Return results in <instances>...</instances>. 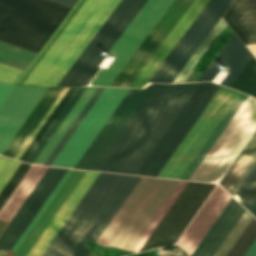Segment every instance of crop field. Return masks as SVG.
<instances>
[{"mask_svg": "<svg viewBox=\"0 0 256 256\" xmlns=\"http://www.w3.org/2000/svg\"><path fill=\"white\" fill-rule=\"evenodd\" d=\"M173 0H122L58 85H87L108 52L117 57L91 84L110 85ZM193 0H174L110 86L128 87Z\"/></svg>", "mask_w": 256, "mask_h": 256, "instance_id": "obj_1", "label": "crop field"}, {"mask_svg": "<svg viewBox=\"0 0 256 256\" xmlns=\"http://www.w3.org/2000/svg\"><path fill=\"white\" fill-rule=\"evenodd\" d=\"M199 85L156 84L96 170L136 174Z\"/></svg>", "mask_w": 256, "mask_h": 256, "instance_id": "obj_2", "label": "crop field"}, {"mask_svg": "<svg viewBox=\"0 0 256 256\" xmlns=\"http://www.w3.org/2000/svg\"><path fill=\"white\" fill-rule=\"evenodd\" d=\"M140 179L100 173L42 256H86Z\"/></svg>", "mask_w": 256, "mask_h": 256, "instance_id": "obj_3", "label": "crop field"}, {"mask_svg": "<svg viewBox=\"0 0 256 256\" xmlns=\"http://www.w3.org/2000/svg\"><path fill=\"white\" fill-rule=\"evenodd\" d=\"M179 183L142 177L97 243L132 251Z\"/></svg>", "mask_w": 256, "mask_h": 256, "instance_id": "obj_4", "label": "crop field"}, {"mask_svg": "<svg viewBox=\"0 0 256 256\" xmlns=\"http://www.w3.org/2000/svg\"><path fill=\"white\" fill-rule=\"evenodd\" d=\"M70 9L49 0H0V41L38 53Z\"/></svg>", "mask_w": 256, "mask_h": 256, "instance_id": "obj_5", "label": "crop field"}, {"mask_svg": "<svg viewBox=\"0 0 256 256\" xmlns=\"http://www.w3.org/2000/svg\"><path fill=\"white\" fill-rule=\"evenodd\" d=\"M256 128V99L248 96L190 180L214 181L223 175Z\"/></svg>", "mask_w": 256, "mask_h": 256, "instance_id": "obj_6", "label": "crop field"}, {"mask_svg": "<svg viewBox=\"0 0 256 256\" xmlns=\"http://www.w3.org/2000/svg\"><path fill=\"white\" fill-rule=\"evenodd\" d=\"M238 95L221 86L158 176L179 179Z\"/></svg>", "mask_w": 256, "mask_h": 256, "instance_id": "obj_7", "label": "crop field"}, {"mask_svg": "<svg viewBox=\"0 0 256 256\" xmlns=\"http://www.w3.org/2000/svg\"><path fill=\"white\" fill-rule=\"evenodd\" d=\"M102 0H79L16 84L39 85Z\"/></svg>", "mask_w": 256, "mask_h": 256, "instance_id": "obj_8", "label": "crop field"}, {"mask_svg": "<svg viewBox=\"0 0 256 256\" xmlns=\"http://www.w3.org/2000/svg\"><path fill=\"white\" fill-rule=\"evenodd\" d=\"M234 0H210L149 82L172 83Z\"/></svg>", "mask_w": 256, "mask_h": 256, "instance_id": "obj_9", "label": "crop field"}, {"mask_svg": "<svg viewBox=\"0 0 256 256\" xmlns=\"http://www.w3.org/2000/svg\"><path fill=\"white\" fill-rule=\"evenodd\" d=\"M219 88L201 83L137 174L157 176Z\"/></svg>", "mask_w": 256, "mask_h": 256, "instance_id": "obj_10", "label": "crop field"}, {"mask_svg": "<svg viewBox=\"0 0 256 256\" xmlns=\"http://www.w3.org/2000/svg\"><path fill=\"white\" fill-rule=\"evenodd\" d=\"M128 91L105 88L52 165L74 167Z\"/></svg>", "mask_w": 256, "mask_h": 256, "instance_id": "obj_11", "label": "crop field"}, {"mask_svg": "<svg viewBox=\"0 0 256 256\" xmlns=\"http://www.w3.org/2000/svg\"><path fill=\"white\" fill-rule=\"evenodd\" d=\"M213 187L188 182L139 252L173 244Z\"/></svg>", "mask_w": 256, "mask_h": 256, "instance_id": "obj_12", "label": "crop field"}, {"mask_svg": "<svg viewBox=\"0 0 256 256\" xmlns=\"http://www.w3.org/2000/svg\"><path fill=\"white\" fill-rule=\"evenodd\" d=\"M154 86L130 89L75 168L95 170Z\"/></svg>", "mask_w": 256, "mask_h": 256, "instance_id": "obj_13", "label": "crop field"}, {"mask_svg": "<svg viewBox=\"0 0 256 256\" xmlns=\"http://www.w3.org/2000/svg\"><path fill=\"white\" fill-rule=\"evenodd\" d=\"M48 87L16 86L0 108V154Z\"/></svg>", "mask_w": 256, "mask_h": 256, "instance_id": "obj_14", "label": "crop field"}, {"mask_svg": "<svg viewBox=\"0 0 256 256\" xmlns=\"http://www.w3.org/2000/svg\"><path fill=\"white\" fill-rule=\"evenodd\" d=\"M66 169L48 167L0 236V249L10 250Z\"/></svg>", "mask_w": 256, "mask_h": 256, "instance_id": "obj_15", "label": "crop field"}, {"mask_svg": "<svg viewBox=\"0 0 256 256\" xmlns=\"http://www.w3.org/2000/svg\"><path fill=\"white\" fill-rule=\"evenodd\" d=\"M121 0H103L40 85H57Z\"/></svg>", "mask_w": 256, "mask_h": 256, "instance_id": "obj_16", "label": "crop field"}, {"mask_svg": "<svg viewBox=\"0 0 256 256\" xmlns=\"http://www.w3.org/2000/svg\"><path fill=\"white\" fill-rule=\"evenodd\" d=\"M208 1L209 0H194V2L181 17L172 31L168 34L159 48L155 51L129 87H143L149 81Z\"/></svg>", "mask_w": 256, "mask_h": 256, "instance_id": "obj_17", "label": "crop field"}, {"mask_svg": "<svg viewBox=\"0 0 256 256\" xmlns=\"http://www.w3.org/2000/svg\"><path fill=\"white\" fill-rule=\"evenodd\" d=\"M251 55L233 32L197 81H211L222 66H227L230 70L221 85L229 87L250 60Z\"/></svg>", "mask_w": 256, "mask_h": 256, "instance_id": "obj_18", "label": "crop field"}, {"mask_svg": "<svg viewBox=\"0 0 256 256\" xmlns=\"http://www.w3.org/2000/svg\"><path fill=\"white\" fill-rule=\"evenodd\" d=\"M230 198L220 186H217L177 243L188 256L192 253Z\"/></svg>", "mask_w": 256, "mask_h": 256, "instance_id": "obj_19", "label": "crop field"}, {"mask_svg": "<svg viewBox=\"0 0 256 256\" xmlns=\"http://www.w3.org/2000/svg\"><path fill=\"white\" fill-rule=\"evenodd\" d=\"M237 203L231 198L190 256H213L216 253L245 211Z\"/></svg>", "mask_w": 256, "mask_h": 256, "instance_id": "obj_20", "label": "crop field"}, {"mask_svg": "<svg viewBox=\"0 0 256 256\" xmlns=\"http://www.w3.org/2000/svg\"><path fill=\"white\" fill-rule=\"evenodd\" d=\"M224 19L244 44L256 43V0H235Z\"/></svg>", "mask_w": 256, "mask_h": 256, "instance_id": "obj_21", "label": "crop field"}, {"mask_svg": "<svg viewBox=\"0 0 256 256\" xmlns=\"http://www.w3.org/2000/svg\"><path fill=\"white\" fill-rule=\"evenodd\" d=\"M62 89L63 87H49L6 150L3 152V156L11 158L15 157Z\"/></svg>", "mask_w": 256, "mask_h": 256, "instance_id": "obj_22", "label": "crop field"}, {"mask_svg": "<svg viewBox=\"0 0 256 256\" xmlns=\"http://www.w3.org/2000/svg\"><path fill=\"white\" fill-rule=\"evenodd\" d=\"M96 89L97 87H86V89L83 91L79 99L76 101L72 109L69 111L65 119L62 121L34 163L44 164V162L47 160L51 152L54 150L56 145L59 143L63 135L66 133L70 125L73 123L75 118L78 116Z\"/></svg>", "mask_w": 256, "mask_h": 256, "instance_id": "obj_23", "label": "crop field"}, {"mask_svg": "<svg viewBox=\"0 0 256 256\" xmlns=\"http://www.w3.org/2000/svg\"><path fill=\"white\" fill-rule=\"evenodd\" d=\"M46 169L47 167L32 166L21 184L18 186L14 194L0 212L1 220L10 222Z\"/></svg>", "mask_w": 256, "mask_h": 256, "instance_id": "obj_24", "label": "crop field"}, {"mask_svg": "<svg viewBox=\"0 0 256 256\" xmlns=\"http://www.w3.org/2000/svg\"><path fill=\"white\" fill-rule=\"evenodd\" d=\"M93 174H94V172L86 171V173L83 175V177L81 178L79 183L76 185V187L74 188L72 193L69 195V197L67 198L65 203L62 205V207L60 208L58 213L55 215L53 220L50 222V224L48 225L46 230L43 232V234L41 235V237L36 242V244L34 245V247L32 248V250L29 252V254L27 256H36L38 251L41 249L43 244L46 242V240L48 239L50 234L53 232L55 227L58 225V223L60 222L62 217L65 215L67 210L70 208L72 203L75 201V199L77 198V196L82 191V189L87 184V182L89 181V179L91 178V176Z\"/></svg>", "mask_w": 256, "mask_h": 256, "instance_id": "obj_25", "label": "crop field"}, {"mask_svg": "<svg viewBox=\"0 0 256 256\" xmlns=\"http://www.w3.org/2000/svg\"><path fill=\"white\" fill-rule=\"evenodd\" d=\"M255 154H256V135L251 140L249 145L243 151L241 156L238 158L236 163L233 165V167L230 169V171L227 173V175L224 177V179L221 181L220 184L230 192V190L232 189L234 184L237 182V180L239 179V177L241 176L245 168L248 166V164L250 163V161L252 160Z\"/></svg>", "mask_w": 256, "mask_h": 256, "instance_id": "obj_26", "label": "crop field"}, {"mask_svg": "<svg viewBox=\"0 0 256 256\" xmlns=\"http://www.w3.org/2000/svg\"><path fill=\"white\" fill-rule=\"evenodd\" d=\"M35 55L36 53L0 42L1 63L25 70Z\"/></svg>", "mask_w": 256, "mask_h": 256, "instance_id": "obj_27", "label": "crop field"}, {"mask_svg": "<svg viewBox=\"0 0 256 256\" xmlns=\"http://www.w3.org/2000/svg\"><path fill=\"white\" fill-rule=\"evenodd\" d=\"M84 89H85V87H76V89L74 90L72 95L69 97V99L67 100L65 105L62 107V109L60 110V112L58 113L56 118L53 120V122L51 123L49 128L46 130V132L44 133V135L42 136L40 141L37 143V145L31 152V154L26 159L27 162H31V163L33 162V160L36 158L38 153L41 151L43 146L46 144V142L48 141L50 136L53 134L55 129L58 127L60 122L63 120L65 115L68 113V111L73 106V104L75 103V101L77 100V98L80 96V94L82 93V91Z\"/></svg>", "mask_w": 256, "mask_h": 256, "instance_id": "obj_28", "label": "crop field"}, {"mask_svg": "<svg viewBox=\"0 0 256 256\" xmlns=\"http://www.w3.org/2000/svg\"><path fill=\"white\" fill-rule=\"evenodd\" d=\"M230 88L256 97V59L254 56L245 66L241 74L232 83Z\"/></svg>", "mask_w": 256, "mask_h": 256, "instance_id": "obj_29", "label": "crop field"}, {"mask_svg": "<svg viewBox=\"0 0 256 256\" xmlns=\"http://www.w3.org/2000/svg\"><path fill=\"white\" fill-rule=\"evenodd\" d=\"M225 25H226L225 22L221 18L220 21L217 23V25L214 27V29L211 31V33L208 35V37L205 39V41L202 43L199 49L195 52V54L192 56V58L189 60V62L186 64V66L183 68V70L180 72V74L177 76V78L174 80L173 83L184 81V79L187 77V75L190 73V71L193 69V67L202 57V55L206 52V50L209 48V46L212 44V42L215 40V38L218 36V34L221 32V30L224 28Z\"/></svg>", "mask_w": 256, "mask_h": 256, "instance_id": "obj_30", "label": "crop field"}, {"mask_svg": "<svg viewBox=\"0 0 256 256\" xmlns=\"http://www.w3.org/2000/svg\"><path fill=\"white\" fill-rule=\"evenodd\" d=\"M255 237H256V220L253 218V220L250 222V224L245 229L243 234L240 236L238 241L236 240L237 242L235 243L233 248L231 247L232 249L231 251L229 250L230 252L228 253L227 256H243V254L248 249V247L250 246L252 241L255 239Z\"/></svg>", "mask_w": 256, "mask_h": 256, "instance_id": "obj_31", "label": "crop field"}, {"mask_svg": "<svg viewBox=\"0 0 256 256\" xmlns=\"http://www.w3.org/2000/svg\"><path fill=\"white\" fill-rule=\"evenodd\" d=\"M72 173V171L67 170V172L64 174V176L62 177V179L59 181V183L57 184V186L54 188V190L52 191V193L49 195V197L47 198V200L44 202V204L42 205V207L39 209V211L36 213V215L34 216V218L31 220V222L29 223V225L26 227V229L24 230V232L21 234V236L19 237V239L16 241V243L14 244V246L11 248V250H17V248L20 246V244L22 243V241L25 239V237L27 236V234L30 232V230L32 229V227L35 225V223L37 222V220L40 218V216L42 215V213L44 212V210L47 208V206L49 205V203L52 201V199L54 198V196L57 194V192L59 191V189L62 187V185L64 184V182L67 180V178L69 177V175Z\"/></svg>", "mask_w": 256, "mask_h": 256, "instance_id": "obj_32", "label": "crop field"}, {"mask_svg": "<svg viewBox=\"0 0 256 256\" xmlns=\"http://www.w3.org/2000/svg\"><path fill=\"white\" fill-rule=\"evenodd\" d=\"M31 165L21 162L9 181L0 192V209L5 204L9 196L12 194L16 186L19 184L25 173Z\"/></svg>", "mask_w": 256, "mask_h": 256, "instance_id": "obj_33", "label": "crop field"}, {"mask_svg": "<svg viewBox=\"0 0 256 256\" xmlns=\"http://www.w3.org/2000/svg\"><path fill=\"white\" fill-rule=\"evenodd\" d=\"M104 90V88L102 87H98V89L96 90V92L93 94V96L91 97V99L89 100V102L86 104V106L84 107V109L82 110V112L80 113V115L77 117V119L75 120V122L73 123V125L70 127V129L68 130V132L66 133V135L63 137V139L61 140V142L59 143V145L57 146V148L54 150V152L52 153V155L50 156V158L47 160V162L45 163V165H50V163L53 161V159L55 158V156L58 154V152L60 151V149L63 147V145L66 143V141L68 140V138L71 136V134L73 133V131L76 129V127L78 126V124L81 122V120L83 119V117L86 115V113L88 112V110L91 108V106L94 104V102L96 101V99L99 97V95L101 94V92Z\"/></svg>", "mask_w": 256, "mask_h": 256, "instance_id": "obj_34", "label": "crop field"}, {"mask_svg": "<svg viewBox=\"0 0 256 256\" xmlns=\"http://www.w3.org/2000/svg\"><path fill=\"white\" fill-rule=\"evenodd\" d=\"M75 89V87H69V89L67 90V92L65 93V95L62 97V99L60 100V102L57 104V106L55 107V109L53 110V112L50 114V116L48 117V119L46 120V122L43 124V126L41 127V129L39 130V132L36 134V136L34 137V139L32 140V142L29 144V146L27 147V149L25 150V152L22 154V156L20 157V160L25 161V159L27 158V156L30 154V152L32 151V149L34 148V146L36 145V143L39 141V139L41 138V136L43 135V133L45 132V130L48 128V126L50 125V123L52 122V120L55 118V116L57 115V113L59 112V110L61 109V107L64 105V103L66 102V100L68 99V97L70 96V94L73 92V90ZM72 95V94H71Z\"/></svg>", "mask_w": 256, "mask_h": 256, "instance_id": "obj_35", "label": "crop field"}, {"mask_svg": "<svg viewBox=\"0 0 256 256\" xmlns=\"http://www.w3.org/2000/svg\"><path fill=\"white\" fill-rule=\"evenodd\" d=\"M187 184V182L185 181H181V183L178 185V187L176 188V190L174 191V193L171 195V197L169 198V200L167 201V203L164 205V207L162 208V210L159 212V214L157 215V217L155 218V220L152 222V224L150 225V227L147 229V231L145 232V234L143 235V237L140 239V241L138 242V244L136 245V247L133 249V251L138 252V250L141 248V246L143 245V243L146 241V239L148 238V236L151 234V232L154 230V228L156 227V225L159 223V221L161 220V218L164 216V214L166 213V211L169 209V207L171 206V204L174 202V200L177 198V196L179 195V193L182 191V189L184 188V186Z\"/></svg>", "mask_w": 256, "mask_h": 256, "instance_id": "obj_36", "label": "crop field"}, {"mask_svg": "<svg viewBox=\"0 0 256 256\" xmlns=\"http://www.w3.org/2000/svg\"><path fill=\"white\" fill-rule=\"evenodd\" d=\"M99 175L98 172H95V174L92 176V178L90 179V181L88 182V184L85 186V188L83 189V191L80 193V195L78 196V198L76 199V201L73 203V205L71 206V208L68 210V212L66 213V215L64 216V218L61 220V222L59 223V225L56 227V229L54 230V232L51 234V236L49 237V239L47 240V242L44 244V246L42 247V249L39 251V253L37 254V256H41L42 253L45 251V249L47 248V246L50 244V242L52 241V239L54 238V236L57 234V232L59 231V229L62 227V225L64 224V222L67 220V218L69 217V215L72 213V211L74 210V208L77 206V204L79 203V201L82 199V197L84 196V194L86 193V191L89 189V187L91 186V184L94 182V180L96 179V177Z\"/></svg>", "mask_w": 256, "mask_h": 256, "instance_id": "obj_37", "label": "crop field"}, {"mask_svg": "<svg viewBox=\"0 0 256 256\" xmlns=\"http://www.w3.org/2000/svg\"><path fill=\"white\" fill-rule=\"evenodd\" d=\"M19 164L20 161L0 156V190L3 188Z\"/></svg>", "mask_w": 256, "mask_h": 256, "instance_id": "obj_38", "label": "crop field"}, {"mask_svg": "<svg viewBox=\"0 0 256 256\" xmlns=\"http://www.w3.org/2000/svg\"><path fill=\"white\" fill-rule=\"evenodd\" d=\"M23 70L0 63V81L14 84Z\"/></svg>", "mask_w": 256, "mask_h": 256, "instance_id": "obj_39", "label": "crop field"}, {"mask_svg": "<svg viewBox=\"0 0 256 256\" xmlns=\"http://www.w3.org/2000/svg\"><path fill=\"white\" fill-rule=\"evenodd\" d=\"M68 89V87H64V89L61 91V93L59 94V96L57 97V99L54 101V103L52 104V106L50 107V109L47 111V113L45 114V116L43 117V119L40 121V123L38 124V126L36 127V129L33 131V133L31 134V136L29 137V139L26 141V143L24 144V146L22 147V149L19 151V153L17 154V156L15 157L16 159H19V157L21 156V154L24 152V150L26 149V147L28 146V144L31 142V140L33 139V137L35 136V134L38 132V130L40 129V127L42 126V124L45 122V120L47 119V117L49 116V114L52 112V110L54 109V107L56 106V104L59 102V100L61 99V97L63 96V94L66 92V90ZM65 95V94H64Z\"/></svg>", "mask_w": 256, "mask_h": 256, "instance_id": "obj_40", "label": "crop field"}, {"mask_svg": "<svg viewBox=\"0 0 256 256\" xmlns=\"http://www.w3.org/2000/svg\"><path fill=\"white\" fill-rule=\"evenodd\" d=\"M241 204L256 217V183Z\"/></svg>", "mask_w": 256, "mask_h": 256, "instance_id": "obj_41", "label": "crop field"}, {"mask_svg": "<svg viewBox=\"0 0 256 256\" xmlns=\"http://www.w3.org/2000/svg\"><path fill=\"white\" fill-rule=\"evenodd\" d=\"M256 181V166L251 171L247 179L244 181L240 189L237 191V195L243 200V198L246 196L250 188L253 186V184Z\"/></svg>", "mask_w": 256, "mask_h": 256, "instance_id": "obj_42", "label": "crop field"}, {"mask_svg": "<svg viewBox=\"0 0 256 256\" xmlns=\"http://www.w3.org/2000/svg\"><path fill=\"white\" fill-rule=\"evenodd\" d=\"M14 88L15 86H10V85L0 83V107L2 106V104L7 99V97L10 95V93Z\"/></svg>", "mask_w": 256, "mask_h": 256, "instance_id": "obj_43", "label": "crop field"}, {"mask_svg": "<svg viewBox=\"0 0 256 256\" xmlns=\"http://www.w3.org/2000/svg\"><path fill=\"white\" fill-rule=\"evenodd\" d=\"M256 164V157L253 159V161L251 162V164L248 166V168L246 169V171L243 173V175L241 176V178L239 179V181L236 183V185L234 186V188L231 190V195L233 196V194L236 192V190L238 189V187L241 185V183L243 182V180L246 178V176L248 175V173L251 171V169L253 168V166Z\"/></svg>", "mask_w": 256, "mask_h": 256, "instance_id": "obj_44", "label": "crop field"}, {"mask_svg": "<svg viewBox=\"0 0 256 256\" xmlns=\"http://www.w3.org/2000/svg\"><path fill=\"white\" fill-rule=\"evenodd\" d=\"M244 256H256V239H255L254 242L251 244V246L249 247V249L246 251V253L244 254Z\"/></svg>", "mask_w": 256, "mask_h": 256, "instance_id": "obj_45", "label": "crop field"}, {"mask_svg": "<svg viewBox=\"0 0 256 256\" xmlns=\"http://www.w3.org/2000/svg\"><path fill=\"white\" fill-rule=\"evenodd\" d=\"M52 1H55V2H58V3H62V4H65V5L73 7V5L75 4V2L77 0H52Z\"/></svg>", "mask_w": 256, "mask_h": 256, "instance_id": "obj_46", "label": "crop field"}, {"mask_svg": "<svg viewBox=\"0 0 256 256\" xmlns=\"http://www.w3.org/2000/svg\"><path fill=\"white\" fill-rule=\"evenodd\" d=\"M248 48L252 51V53L256 56V45H249Z\"/></svg>", "mask_w": 256, "mask_h": 256, "instance_id": "obj_47", "label": "crop field"}]
</instances>
